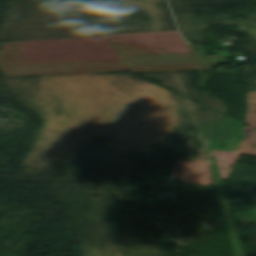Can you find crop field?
<instances>
[{
  "label": "crop field",
  "mask_w": 256,
  "mask_h": 256,
  "mask_svg": "<svg viewBox=\"0 0 256 256\" xmlns=\"http://www.w3.org/2000/svg\"><path fill=\"white\" fill-rule=\"evenodd\" d=\"M208 69L178 32L7 43L5 77L122 71Z\"/></svg>",
  "instance_id": "1"
}]
</instances>
